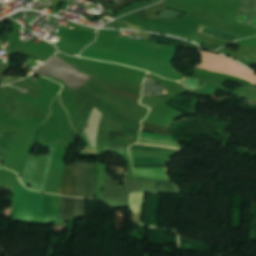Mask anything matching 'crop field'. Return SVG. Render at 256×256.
I'll use <instances>...</instances> for the list:
<instances>
[{
	"mask_svg": "<svg viewBox=\"0 0 256 256\" xmlns=\"http://www.w3.org/2000/svg\"><path fill=\"white\" fill-rule=\"evenodd\" d=\"M45 224L60 222V196L44 194Z\"/></svg>",
	"mask_w": 256,
	"mask_h": 256,
	"instance_id": "crop-field-6",
	"label": "crop field"
},
{
	"mask_svg": "<svg viewBox=\"0 0 256 256\" xmlns=\"http://www.w3.org/2000/svg\"><path fill=\"white\" fill-rule=\"evenodd\" d=\"M106 151H116L120 153H128L127 143H117L105 146Z\"/></svg>",
	"mask_w": 256,
	"mask_h": 256,
	"instance_id": "crop-field-18",
	"label": "crop field"
},
{
	"mask_svg": "<svg viewBox=\"0 0 256 256\" xmlns=\"http://www.w3.org/2000/svg\"><path fill=\"white\" fill-rule=\"evenodd\" d=\"M177 44H179V45H184V46H189V47H193V48H200L199 46H197V45H194V44H192V43H190V42H187V41H184V40H180L179 39V41H178V43Z\"/></svg>",
	"mask_w": 256,
	"mask_h": 256,
	"instance_id": "crop-field-24",
	"label": "crop field"
},
{
	"mask_svg": "<svg viewBox=\"0 0 256 256\" xmlns=\"http://www.w3.org/2000/svg\"><path fill=\"white\" fill-rule=\"evenodd\" d=\"M256 18V0H244L239 7L236 22L251 26Z\"/></svg>",
	"mask_w": 256,
	"mask_h": 256,
	"instance_id": "crop-field-8",
	"label": "crop field"
},
{
	"mask_svg": "<svg viewBox=\"0 0 256 256\" xmlns=\"http://www.w3.org/2000/svg\"><path fill=\"white\" fill-rule=\"evenodd\" d=\"M113 176L108 175L106 165V184L104 202L112 208L129 206V191L131 181H124L125 189L119 188L118 181H113Z\"/></svg>",
	"mask_w": 256,
	"mask_h": 256,
	"instance_id": "crop-field-3",
	"label": "crop field"
},
{
	"mask_svg": "<svg viewBox=\"0 0 256 256\" xmlns=\"http://www.w3.org/2000/svg\"><path fill=\"white\" fill-rule=\"evenodd\" d=\"M137 145H145V144H137ZM133 145L130 149L133 150H141V151H154V152H179V148L167 147V146H158V145H145V146H153V147H161V148H169V149H177V150H169V149H161V148H153V147H145V146H137Z\"/></svg>",
	"mask_w": 256,
	"mask_h": 256,
	"instance_id": "crop-field-14",
	"label": "crop field"
},
{
	"mask_svg": "<svg viewBox=\"0 0 256 256\" xmlns=\"http://www.w3.org/2000/svg\"><path fill=\"white\" fill-rule=\"evenodd\" d=\"M61 217L62 222L77 218L76 198L62 197Z\"/></svg>",
	"mask_w": 256,
	"mask_h": 256,
	"instance_id": "crop-field-11",
	"label": "crop field"
},
{
	"mask_svg": "<svg viewBox=\"0 0 256 256\" xmlns=\"http://www.w3.org/2000/svg\"><path fill=\"white\" fill-rule=\"evenodd\" d=\"M147 31H155V32H159V33H164V34H169V35H173L176 37L189 39V40H192L195 42L197 41V36H196L195 32H192V31H187V30H182V29L161 28V27H156V26H152V25H149Z\"/></svg>",
	"mask_w": 256,
	"mask_h": 256,
	"instance_id": "crop-field-10",
	"label": "crop field"
},
{
	"mask_svg": "<svg viewBox=\"0 0 256 256\" xmlns=\"http://www.w3.org/2000/svg\"><path fill=\"white\" fill-rule=\"evenodd\" d=\"M139 143L167 145V146H173V147H179L180 148L178 142L164 140V139H157V138L140 137Z\"/></svg>",
	"mask_w": 256,
	"mask_h": 256,
	"instance_id": "crop-field-15",
	"label": "crop field"
},
{
	"mask_svg": "<svg viewBox=\"0 0 256 256\" xmlns=\"http://www.w3.org/2000/svg\"><path fill=\"white\" fill-rule=\"evenodd\" d=\"M78 162L72 166H66L62 186L61 195L76 196V177H77Z\"/></svg>",
	"mask_w": 256,
	"mask_h": 256,
	"instance_id": "crop-field-7",
	"label": "crop field"
},
{
	"mask_svg": "<svg viewBox=\"0 0 256 256\" xmlns=\"http://www.w3.org/2000/svg\"><path fill=\"white\" fill-rule=\"evenodd\" d=\"M12 220L44 224L42 194L28 191L19 183L14 192Z\"/></svg>",
	"mask_w": 256,
	"mask_h": 256,
	"instance_id": "crop-field-1",
	"label": "crop field"
},
{
	"mask_svg": "<svg viewBox=\"0 0 256 256\" xmlns=\"http://www.w3.org/2000/svg\"><path fill=\"white\" fill-rule=\"evenodd\" d=\"M4 159H5L4 157H0V161H2V162H3V161H4Z\"/></svg>",
	"mask_w": 256,
	"mask_h": 256,
	"instance_id": "crop-field-26",
	"label": "crop field"
},
{
	"mask_svg": "<svg viewBox=\"0 0 256 256\" xmlns=\"http://www.w3.org/2000/svg\"><path fill=\"white\" fill-rule=\"evenodd\" d=\"M241 97L253 100L256 102V85L249 83L242 89Z\"/></svg>",
	"mask_w": 256,
	"mask_h": 256,
	"instance_id": "crop-field-16",
	"label": "crop field"
},
{
	"mask_svg": "<svg viewBox=\"0 0 256 256\" xmlns=\"http://www.w3.org/2000/svg\"><path fill=\"white\" fill-rule=\"evenodd\" d=\"M54 149L50 148L49 156H30L21 180L22 184H31L30 189L43 192Z\"/></svg>",
	"mask_w": 256,
	"mask_h": 256,
	"instance_id": "crop-field-2",
	"label": "crop field"
},
{
	"mask_svg": "<svg viewBox=\"0 0 256 256\" xmlns=\"http://www.w3.org/2000/svg\"><path fill=\"white\" fill-rule=\"evenodd\" d=\"M2 169V167H0V170Z\"/></svg>",
	"mask_w": 256,
	"mask_h": 256,
	"instance_id": "crop-field-27",
	"label": "crop field"
},
{
	"mask_svg": "<svg viewBox=\"0 0 256 256\" xmlns=\"http://www.w3.org/2000/svg\"><path fill=\"white\" fill-rule=\"evenodd\" d=\"M140 136H151V137L165 138V139L171 140V137L156 135V134H152V133H148V132H144V131H141Z\"/></svg>",
	"mask_w": 256,
	"mask_h": 256,
	"instance_id": "crop-field-23",
	"label": "crop field"
},
{
	"mask_svg": "<svg viewBox=\"0 0 256 256\" xmlns=\"http://www.w3.org/2000/svg\"><path fill=\"white\" fill-rule=\"evenodd\" d=\"M16 137L17 134L4 131L0 137V150L7 153Z\"/></svg>",
	"mask_w": 256,
	"mask_h": 256,
	"instance_id": "crop-field-13",
	"label": "crop field"
},
{
	"mask_svg": "<svg viewBox=\"0 0 256 256\" xmlns=\"http://www.w3.org/2000/svg\"><path fill=\"white\" fill-rule=\"evenodd\" d=\"M178 189L174 183L134 177V183L130 192L157 191L165 193H180Z\"/></svg>",
	"mask_w": 256,
	"mask_h": 256,
	"instance_id": "crop-field-5",
	"label": "crop field"
},
{
	"mask_svg": "<svg viewBox=\"0 0 256 256\" xmlns=\"http://www.w3.org/2000/svg\"><path fill=\"white\" fill-rule=\"evenodd\" d=\"M198 32L205 34L207 36H210V37H214V38H218V39H222V40H226V41H230V42H232L236 39H240V37H238L234 34H231V33L225 32V31H221V30H218L215 28H211L208 26L200 25V24L198 26Z\"/></svg>",
	"mask_w": 256,
	"mask_h": 256,
	"instance_id": "crop-field-12",
	"label": "crop field"
},
{
	"mask_svg": "<svg viewBox=\"0 0 256 256\" xmlns=\"http://www.w3.org/2000/svg\"><path fill=\"white\" fill-rule=\"evenodd\" d=\"M142 125H143V129L142 130L153 132V133H157V134H162V135L170 136L169 130L166 129V128L158 127V126L151 125V124L144 123V122H142Z\"/></svg>",
	"mask_w": 256,
	"mask_h": 256,
	"instance_id": "crop-field-17",
	"label": "crop field"
},
{
	"mask_svg": "<svg viewBox=\"0 0 256 256\" xmlns=\"http://www.w3.org/2000/svg\"><path fill=\"white\" fill-rule=\"evenodd\" d=\"M87 164L80 163L77 177V196L84 197ZM97 164H88L85 197L95 199Z\"/></svg>",
	"mask_w": 256,
	"mask_h": 256,
	"instance_id": "crop-field-4",
	"label": "crop field"
},
{
	"mask_svg": "<svg viewBox=\"0 0 256 256\" xmlns=\"http://www.w3.org/2000/svg\"><path fill=\"white\" fill-rule=\"evenodd\" d=\"M150 40L155 41V42L164 43V44L173 45V46H175L176 43H177V39L169 38V37H163V36H157V35H153V34H152Z\"/></svg>",
	"mask_w": 256,
	"mask_h": 256,
	"instance_id": "crop-field-19",
	"label": "crop field"
},
{
	"mask_svg": "<svg viewBox=\"0 0 256 256\" xmlns=\"http://www.w3.org/2000/svg\"><path fill=\"white\" fill-rule=\"evenodd\" d=\"M134 167H166V163H156V164H139L133 165Z\"/></svg>",
	"mask_w": 256,
	"mask_h": 256,
	"instance_id": "crop-field-22",
	"label": "crop field"
},
{
	"mask_svg": "<svg viewBox=\"0 0 256 256\" xmlns=\"http://www.w3.org/2000/svg\"><path fill=\"white\" fill-rule=\"evenodd\" d=\"M252 26H253V27H256V19H255V21L253 22Z\"/></svg>",
	"mask_w": 256,
	"mask_h": 256,
	"instance_id": "crop-field-25",
	"label": "crop field"
},
{
	"mask_svg": "<svg viewBox=\"0 0 256 256\" xmlns=\"http://www.w3.org/2000/svg\"><path fill=\"white\" fill-rule=\"evenodd\" d=\"M166 172H167V168H162V169L134 168V176L171 181V179L169 178Z\"/></svg>",
	"mask_w": 256,
	"mask_h": 256,
	"instance_id": "crop-field-9",
	"label": "crop field"
},
{
	"mask_svg": "<svg viewBox=\"0 0 256 256\" xmlns=\"http://www.w3.org/2000/svg\"><path fill=\"white\" fill-rule=\"evenodd\" d=\"M133 163L170 162L169 158H132Z\"/></svg>",
	"mask_w": 256,
	"mask_h": 256,
	"instance_id": "crop-field-20",
	"label": "crop field"
},
{
	"mask_svg": "<svg viewBox=\"0 0 256 256\" xmlns=\"http://www.w3.org/2000/svg\"><path fill=\"white\" fill-rule=\"evenodd\" d=\"M78 217L86 216L85 199L77 198Z\"/></svg>",
	"mask_w": 256,
	"mask_h": 256,
	"instance_id": "crop-field-21",
	"label": "crop field"
}]
</instances>
